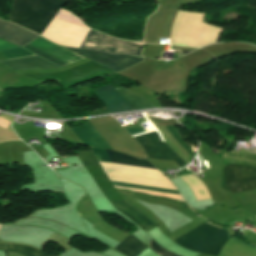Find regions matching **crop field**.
Here are the masks:
<instances>
[{"instance_id": "cbeb9de0", "label": "crop field", "mask_w": 256, "mask_h": 256, "mask_svg": "<svg viewBox=\"0 0 256 256\" xmlns=\"http://www.w3.org/2000/svg\"><path fill=\"white\" fill-rule=\"evenodd\" d=\"M7 251L18 252L24 256H51L47 253H43L29 245H20L5 243Z\"/></svg>"}, {"instance_id": "d8731c3e", "label": "crop field", "mask_w": 256, "mask_h": 256, "mask_svg": "<svg viewBox=\"0 0 256 256\" xmlns=\"http://www.w3.org/2000/svg\"><path fill=\"white\" fill-rule=\"evenodd\" d=\"M96 93L111 113L133 110L130 105L116 93L112 85L100 88Z\"/></svg>"}, {"instance_id": "e52e79f7", "label": "crop field", "mask_w": 256, "mask_h": 256, "mask_svg": "<svg viewBox=\"0 0 256 256\" xmlns=\"http://www.w3.org/2000/svg\"><path fill=\"white\" fill-rule=\"evenodd\" d=\"M149 157L163 160H174L179 166L185 163L165 142H162L156 131L135 137Z\"/></svg>"}, {"instance_id": "4a817a6b", "label": "crop field", "mask_w": 256, "mask_h": 256, "mask_svg": "<svg viewBox=\"0 0 256 256\" xmlns=\"http://www.w3.org/2000/svg\"><path fill=\"white\" fill-rule=\"evenodd\" d=\"M0 250H1V251H6L5 246H4L3 243H0Z\"/></svg>"}, {"instance_id": "f4fd0767", "label": "crop field", "mask_w": 256, "mask_h": 256, "mask_svg": "<svg viewBox=\"0 0 256 256\" xmlns=\"http://www.w3.org/2000/svg\"><path fill=\"white\" fill-rule=\"evenodd\" d=\"M223 172L231 193L256 188V168L227 164Z\"/></svg>"}, {"instance_id": "ac0d7876", "label": "crop field", "mask_w": 256, "mask_h": 256, "mask_svg": "<svg viewBox=\"0 0 256 256\" xmlns=\"http://www.w3.org/2000/svg\"><path fill=\"white\" fill-rule=\"evenodd\" d=\"M0 37L7 41H10L16 45L22 46V45H25L28 42L36 39L38 36L31 32H28L14 24L0 20ZM29 44L53 55L69 64H71L79 59H83L81 57H78V56L72 54L67 49H65L59 45H56L52 42H49L41 37L37 38L35 41H33ZM23 47L35 54L40 55L41 57L45 58L46 60L61 66V67L68 65V64H66V63L28 45V44Z\"/></svg>"}, {"instance_id": "34b2d1b8", "label": "crop field", "mask_w": 256, "mask_h": 256, "mask_svg": "<svg viewBox=\"0 0 256 256\" xmlns=\"http://www.w3.org/2000/svg\"><path fill=\"white\" fill-rule=\"evenodd\" d=\"M228 239L227 230L204 223L173 242L192 251L217 256Z\"/></svg>"}, {"instance_id": "d1516ede", "label": "crop field", "mask_w": 256, "mask_h": 256, "mask_svg": "<svg viewBox=\"0 0 256 256\" xmlns=\"http://www.w3.org/2000/svg\"><path fill=\"white\" fill-rule=\"evenodd\" d=\"M145 245L139 242L133 236H129L126 238L121 244H119L114 249L120 251L121 253L125 254L126 256H138L141 252L147 249Z\"/></svg>"}, {"instance_id": "dd49c442", "label": "crop field", "mask_w": 256, "mask_h": 256, "mask_svg": "<svg viewBox=\"0 0 256 256\" xmlns=\"http://www.w3.org/2000/svg\"><path fill=\"white\" fill-rule=\"evenodd\" d=\"M67 49L89 59H92L115 72H118L126 67H129L144 60V58H139L131 55L108 54L98 51H88L73 48Z\"/></svg>"}, {"instance_id": "28ad6ade", "label": "crop field", "mask_w": 256, "mask_h": 256, "mask_svg": "<svg viewBox=\"0 0 256 256\" xmlns=\"http://www.w3.org/2000/svg\"><path fill=\"white\" fill-rule=\"evenodd\" d=\"M73 131L88 146L109 148L88 122L80 128H74Z\"/></svg>"}, {"instance_id": "22f410ed", "label": "crop field", "mask_w": 256, "mask_h": 256, "mask_svg": "<svg viewBox=\"0 0 256 256\" xmlns=\"http://www.w3.org/2000/svg\"><path fill=\"white\" fill-rule=\"evenodd\" d=\"M115 90L120 94L127 102L131 104V106L136 109H145V108H156L154 105L146 102L145 100L141 99L137 95L133 94L132 92L121 88H115Z\"/></svg>"}, {"instance_id": "412701ff", "label": "crop field", "mask_w": 256, "mask_h": 256, "mask_svg": "<svg viewBox=\"0 0 256 256\" xmlns=\"http://www.w3.org/2000/svg\"><path fill=\"white\" fill-rule=\"evenodd\" d=\"M91 149L93 150V154L95 155V157L97 158V160L101 164V166L162 174L156 168L148 167V166H153V165L144 159H136L129 155H124V154L117 153L115 151L107 150L109 162L148 165V166L108 163L106 150L99 149V148H93V147H91Z\"/></svg>"}, {"instance_id": "8a807250", "label": "crop field", "mask_w": 256, "mask_h": 256, "mask_svg": "<svg viewBox=\"0 0 256 256\" xmlns=\"http://www.w3.org/2000/svg\"><path fill=\"white\" fill-rule=\"evenodd\" d=\"M64 2L65 0H14L10 22L41 35ZM137 44L90 30L81 48L140 56L143 44Z\"/></svg>"}, {"instance_id": "5142ce71", "label": "crop field", "mask_w": 256, "mask_h": 256, "mask_svg": "<svg viewBox=\"0 0 256 256\" xmlns=\"http://www.w3.org/2000/svg\"><path fill=\"white\" fill-rule=\"evenodd\" d=\"M77 154L85 166L99 165L91 152H77Z\"/></svg>"}, {"instance_id": "733c2abd", "label": "crop field", "mask_w": 256, "mask_h": 256, "mask_svg": "<svg viewBox=\"0 0 256 256\" xmlns=\"http://www.w3.org/2000/svg\"><path fill=\"white\" fill-rule=\"evenodd\" d=\"M7 121H8V120H7ZM7 121H5V120H3V119L0 118V126L8 130L9 124H10L9 122H10V121H9V122H7Z\"/></svg>"}, {"instance_id": "5a996713", "label": "crop field", "mask_w": 256, "mask_h": 256, "mask_svg": "<svg viewBox=\"0 0 256 256\" xmlns=\"http://www.w3.org/2000/svg\"><path fill=\"white\" fill-rule=\"evenodd\" d=\"M0 63L7 65L8 67L14 70L46 69L58 67L44 59L39 58L38 56L8 61H0Z\"/></svg>"}, {"instance_id": "d9b57169", "label": "crop field", "mask_w": 256, "mask_h": 256, "mask_svg": "<svg viewBox=\"0 0 256 256\" xmlns=\"http://www.w3.org/2000/svg\"><path fill=\"white\" fill-rule=\"evenodd\" d=\"M148 247L154 251L156 254H158L159 256H176L168 251H166L165 249L159 247L154 241L153 239L150 241Z\"/></svg>"}, {"instance_id": "3316defc", "label": "crop field", "mask_w": 256, "mask_h": 256, "mask_svg": "<svg viewBox=\"0 0 256 256\" xmlns=\"http://www.w3.org/2000/svg\"><path fill=\"white\" fill-rule=\"evenodd\" d=\"M111 203L128 216L136 220L146 231L157 226L151 222L143 213L125 201H111Z\"/></svg>"}]
</instances>
